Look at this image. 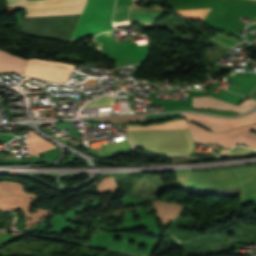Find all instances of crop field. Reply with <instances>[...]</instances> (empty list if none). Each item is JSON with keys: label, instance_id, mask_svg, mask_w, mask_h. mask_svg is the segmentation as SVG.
I'll list each match as a JSON object with an SVG mask.
<instances>
[{"label": "crop field", "instance_id": "obj_4", "mask_svg": "<svg viewBox=\"0 0 256 256\" xmlns=\"http://www.w3.org/2000/svg\"><path fill=\"white\" fill-rule=\"evenodd\" d=\"M188 120L213 131L223 132L241 125L256 123V111L242 118L221 119L194 114H183Z\"/></svg>", "mask_w": 256, "mask_h": 256}, {"label": "crop field", "instance_id": "obj_12", "mask_svg": "<svg viewBox=\"0 0 256 256\" xmlns=\"http://www.w3.org/2000/svg\"><path fill=\"white\" fill-rule=\"evenodd\" d=\"M135 1V3H138V2H140V1H142V0H134Z\"/></svg>", "mask_w": 256, "mask_h": 256}, {"label": "crop field", "instance_id": "obj_11", "mask_svg": "<svg viewBox=\"0 0 256 256\" xmlns=\"http://www.w3.org/2000/svg\"><path fill=\"white\" fill-rule=\"evenodd\" d=\"M7 1H8V6H10V5H14V4L18 3L21 0H7Z\"/></svg>", "mask_w": 256, "mask_h": 256}, {"label": "crop field", "instance_id": "obj_13", "mask_svg": "<svg viewBox=\"0 0 256 256\" xmlns=\"http://www.w3.org/2000/svg\"><path fill=\"white\" fill-rule=\"evenodd\" d=\"M233 74V73H232Z\"/></svg>", "mask_w": 256, "mask_h": 256}, {"label": "crop field", "instance_id": "obj_7", "mask_svg": "<svg viewBox=\"0 0 256 256\" xmlns=\"http://www.w3.org/2000/svg\"><path fill=\"white\" fill-rule=\"evenodd\" d=\"M29 135L30 138H27V140L31 156L55 147L49 141L39 137L32 130H29Z\"/></svg>", "mask_w": 256, "mask_h": 256}, {"label": "crop field", "instance_id": "obj_9", "mask_svg": "<svg viewBox=\"0 0 256 256\" xmlns=\"http://www.w3.org/2000/svg\"><path fill=\"white\" fill-rule=\"evenodd\" d=\"M114 99L104 96L100 97L90 103H88L84 108H95V107H107L113 106Z\"/></svg>", "mask_w": 256, "mask_h": 256}, {"label": "crop field", "instance_id": "obj_3", "mask_svg": "<svg viewBox=\"0 0 256 256\" xmlns=\"http://www.w3.org/2000/svg\"><path fill=\"white\" fill-rule=\"evenodd\" d=\"M188 125L192 131L193 138L197 141L207 143L211 140L229 148L236 144H245L256 149V133H249V131L256 129V125L240 127L223 133L209 132L191 123H188Z\"/></svg>", "mask_w": 256, "mask_h": 256}, {"label": "crop field", "instance_id": "obj_2", "mask_svg": "<svg viewBox=\"0 0 256 256\" xmlns=\"http://www.w3.org/2000/svg\"><path fill=\"white\" fill-rule=\"evenodd\" d=\"M127 138L136 146L155 154H190L193 139L183 119L153 125H127Z\"/></svg>", "mask_w": 256, "mask_h": 256}, {"label": "crop field", "instance_id": "obj_10", "mask_svg": "<svg viewBox=\"0 0 256 256\" xmlns=\"http://www.w3.org/2000/svg\"><path fill=\"white\" fill-rule=\"evenodd\" d=\"M251 153H256L255 150L243 148V147H236L229 151L226 156H240V155H246V154H251Z\"/></svg>", "mask_w": 256, "mask_h": 256}, {"label": "crop field", "instance_id": "obj_5", "mask_svg": "<svg viewBox=\"0 0 256 256\" xmlns=\"http://www.w3.org/2000/svg\"><path fill=\"white\" fill-rule=\"evenodd\" d=\"M256 105L255 101L250 99L243 101L239 106L225 103L219 99L210 97L193 98V108H213L229 111L245 112Z\"/></svg>", "mask_w": 256, "mask_h": 256}, {"label": "crop field", "instance_id": "obj_6", "mask_svg": "<svg viewBox=\"0 0 256 256\" xmlns=\"http://www.w3.org/2000/svg\"><path fill=\"white\" fill-rule=\"evenodd\" d=\"M26 62L24 59L0 51V72L14 71L23 74Z\"/></svg>", "mask_w": 256, "mask_h": 256}, {"label": "crop field", "instance_id": "obj_1", "mask_svg": "<svg viewBox=\"0 0 256 256\" xmlns=\"http://www.w3.org/2000/svg\"><path fill=\"white\" fill-rule=\"evenodd\" d=\"M86 0H41V1H28L22 2L13 8L80 3ZM85 3L32 7L26 8V11L33 10H47V9H62V8H76L84 7ZM83 8L76 9H62V10H47V11H33L26 12L25 17L32 16H49V15H67V14H81ZM80 15L72 16H53V17H34L22 18V29L20 31L40 37L57 39L70 43V37L79 20Z\"/></svg>", "mask_w": 256, "mask_h": 256}, {"label": "crop field", "instance_id": "obj_8", "mask_svg": "<svg viewBox=\"0 0 256 256\" xmlns=\"http://www.w3.org/2000/svg\"><path fill=\"white\" fill-rule=\"evenodd\" d=\"M146 115L129 116V117H117V118H106V119H95V121H102L108 123H126L130 121L145 119Z\"/></svg>", "mask_w": 256, "mask_h": 256}]
</instances>
